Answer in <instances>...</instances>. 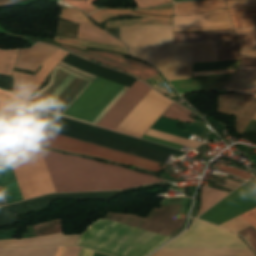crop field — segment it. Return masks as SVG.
Returning <instances> with one entry per match:
<instances>
[{
  "instance_id": "obj_1",
  "label": "crop field",
  "mask_w": 256,
  "mask_h": 256,
  "mask_svg": "<svg viewBox=\"0 0 256 256\" xmlns=\"http://www.w3.org/2000/svg\"><path fill=\"white\" fill-rule=\"evenodd\" d=\"M3 139L23 198L49 192L118 190L162 179L77 156L41 150Z\"/></svg>"
},
{
  "instance_id": "obj_2",
  "label": "crop field",
  "mask_w": 256,
  "mask_h": 256,
  "mask_svg": "<svg viewBox=\"0 0 256 256\" xmlns=\"http://www.w3.org/2000/svg\"><path fill=\"white\" fill-rule=\"evenodd\" d=\"M62 61L90 74L126 86L128 88H130L136 81V79L128 75L105 68L72 54H68ZM63 62H61L60 65L92 79L95 78V76L78 70ZM98 77L92 81V79L80 76L57 65L51 73L50 83L45 88L41 89L32 98H30L27 103L35 109L61 115V113L70 105V103L92 81L63 112V115L92 122L123 88V86L114 84ZM128 88L124 87L92 123H87L95 125L128 90Z\"/></svg>"
},
{
  "instance_id": "obj_3",
  "label": "crop field",
  "mask_w": 256,
  "mask_h": 256,
  "mask_svg": "<svg viewBox=\"0 0 256 256\" xmlns=\"http://www.w3.org/2000/svg\"><path fill=\"white\" fill-rule=\"evenodd\" d=\"M105 29L128 45L130 55L158 67L168 81L191 78L193 44H172V26Z\"/></svg>"
},
{
  "instance_id": "obj_4",
  "label": "crop field",
  "mask_w": 256,
  "mask_h": 256,
  "mask_svg": "<svg viewBox=\"0 0 256 256\" xmlns=\"http://www.w3.org/2000/svg\"><path fill=\"white\" fill-rule=\"evenodd\" d=\"M169 239L171 237L99 219L83 232L76 245L111 256H147Z\"/></svg>"
},
{
  "instance_id": "obj_5",
  "label": "crop field",
  "mask_w": 256,
  "mask_h": 256,
  "mask_svg": "<svg viewBox=\"0 0 256 256\" xmlns=\"http://www.w3.org/2000/svg\"><path fill=\"white\" fill-rule=\"evenodd\" d=\"M150 89L137 80L97 126L115 128ZM171 103L151 89L114 130L141 137Z\"/></svg>"
},
{
  "instance_id": "obj_6",
  "label": "crop field",
  "mask_w": 256,
  "mask_h": 256,
  "mask_svg": "<svg viewBox=\"0 0 256 256\" xmlns=\"http://www.w3.org/2000/svg\"><path fill=\"white\" fill-rule=\"evenodd\" d=\"M25 142L51 147L63 151L89 155L157 172L163 169L158 167L160 164L156 162L124 154L30 126L28 127Z\"/></svg>"
},
{
  "instance_id": "obj_7",
  "label": "crop field",
  "mask_w": 256,
  "mask_h": 256,
  "mask_svg": "<svg viewBox=\"0 0 256 256\" xmlns=\"http://www.w3.org/2000/svg\"><path fill=\"white\" fill-rule=\"evenodd\" d=\"M30 126L146 158L160 163H165L169 157V153L154 150L130 142L122 141L105 135L97 134L80 128L72 127L48 119L40 118L37 116L31 117Z\"/></svg>"
},
{
  "instance_id": "obj_8",
  "label": "crop field",
  "mask_w": 256,
  "mask_h": 256,
  "mask_svg": "<svg viewBox=\"0 0 256 256\" xmlns=\"http://www.w3.org/2000/svg\"><path fill=\"white\" fill-rule=\"evenodd\" d=\"M162 248L248 249L233 233L196 220Z\"/></svg>"
},
{
  "instance_id": "obj_9",
  "label": "crop field",
  "mask_w": 256,
  "mask_h": 256,
  "mask_svg": "<svg viewBox=\"0 0 256 256\" xmlns=\"http://www.w3.org/2000/svg\"><path fill=\"white\" fill-rule=\"evenodd\" d=\"M254 207H256V181L252 179L198 218L220 225Z\"/></svg>"
},
{
  "instance_id": "obj_10",
  "label": "crop field",
  "mask_w": 256,
  "mask_h": 256,
  "mask_svg": "<svg viewBox=\"0 0 256 256\" xmlns=\"http://www.w3.org/2000/svg\"><path fill=\"white\" fill-rule=\"evenodd\" d=\"M31 111L32 108L20 99L2 91L0 96V136L23 140Z\"/></svg>"
},
{
  "instance_id": "obj_11",
  "label": "crop field",
  "mask_w": 256,
  "mask_h": 256,
  "mask_svg": "<svg viewBox=\"0 0 256 256\" xmlns=\"http://www.w3.org/2000/svg\"><path fill=\"white\" fill-rule=\"evenodd\" d=\"M64 48H67L71 51H74L76 53H79L81 55H84L86 57H89L93 60H96L98 62L113 66L115 68L133 73L135 75H137L139 78L141 79H146L148 77H150L151 75L157 73V71L150 67L147 64H142L139 61H135V60H131V59H124L122 55L120 54H116V53H108V52H101V51H88L86 53L63 46ZM147 83H149L150 85H152L153 87L157 88L158 90H160L161 92H163L164 94L170 96V97H174L176 96V94L173 92H169L168 89L163 85L162 82H164V80L162 79V77L157 73L153 76H151L150 78L144 80ZM161 83L162 86L166 89L167 92H165L159 85L158 83ZM167 84V83H166ZM168 85V84H167Z\"/></svg>"
},
{
  "instance_id": "obj_12",
  "label": "crop field",
  "mask_w": 256,
  "mask_h": 256,
  "mask_svg": "<svg viewBox=\"0 0 256 256\" xmlns=\"http://www.w3.org/2000/svg\"><path fill=\"white\" fill-rule=\"evenodd\" d=\"M217 41L218 61L239 59L233 30L207 32H174L173 43Z\"/></svg>"
},
{
  "instance_id": "obj_13",
  "label": "crop field",
  "mask_w": 256,
  "mask_h": 256,
  "mask_svg": "<svg viewBox=\"0 0 256 256\" xmlns=\"http://www.w3.org/2000/svg\"><path fill=\"white\" fill-rule=\"evenodd\" d=\"M217 112L236 115V130L237 133L242 134L256 113V95L243 93L218 95Z\"/></svg>"
},
{
  "instance_id": "obj_14",
  "label": "crop field",
  "mask_w": 256,
  "mask_h": 256,
  "mask_svg": "<svg viewBox=\"0 0 256 256\" xmlns=\"http://www.w3.org/2000/svg\"><path fill=\"white\" fill-rule=\"evenodd\" d=\"M133 11H140L148 14L154 15H172V4L148 9V10H133ZM132 10H121V9H101L91 15L93 20H95L98 24L104 21L109 17H116L122 15H139L144 16L147 18L141 19H132V20H125V21H118V22H107V27H114V26H129V25H152V24H162V25H171L172 17H162V16H150V15H141L134 13Z\"/></svg>"
},
{
  "instance_id": "obj_15",
  "label": "crop field",
  "mask_w": 256,
  "mask_h": 256,
  "mask_svg": "<svg viewBox=\"0 0 256 256\" xmlns=\"http://www.w3.org/2000/svg\"><path fill=\"white\" fill-rule=\"evenodd\" d=\"M174 31L233 29L227 9L190 16H174Z\"/></svg>"
},
{
  "instance_id": "obj_16",
  "label": "crop field",
  "mask_w": 256,
  "mask_h": 256,
  "mask_svg": "<svg viewBox=\"0 0 256 256\" xmlns=\"http://www.w3.org/2000/svg\"><path fill=\"white\" fill-rule=\"evenodd\" d=\"M67 52L58 49L34 76L13 72L14 86L12 93L27 100L29 95L42 83L46 75L62 60Z\"/></svg>"
},
{
  "instance_id": "obj_17",
  "label": "crop field",
  "mask_w": 256,
  "mask_h": 256,
  "mask_svg": "<svg viewBox=\"0 0 256 256\" xmlns=\"http://www.w3.org/2000/svg\"><path fill=\"white\" fill-rule=\"evenodd\" d=\"M0 184L8 204L23 200L1 138Z\"/></svg>"
},
{
  "instance_id": "obj_18",
  "label": "crop field",
  "mask_w": 256,
  "mask_h": 256,
  "mask_svg": "<svg viewBox=\"0 0 256 256\" xmlns=\"http://www.w3.org/2000/svg\"><path fill=\"white\" fill-rule=\"evenodd\" d=\"M78 235L61 236L60 233L40 238L0 241V248L74 245Z\"/></svg>"
},
{
  "instance_id": "obj_19",
  "label": "crop field",
  "mask_w": 256,
  "mask_h": 256,
  "mask_svg": "<svg viewBox=\"0 0 256 256\" xmlns=\"http://www.w3.org/2000/svg\"><path fill=\"white\" fill-rule=\"evenodd\" d=\"M56 50L51 46L41 44H36L29 49L20 50L15 67L35 71Z\"/></svg>"
},
{
  "instance_id": "obj_20",
  "label": "crop field",
  "mask_w": 256,
  "mask_h": 256,
  "mask_svg": "<svg viewBox=\"0 0 256 256\" xmlns=\"http://www.w3.org/2000/svg\"><path fill=\"white\" fill-rule=\"evenodd\" d=\"M151 256H255L251 250L159 249Z\"/></svg>"
},
{
  "instance_id": "obj_21",
  "label": "crop field",
  "mask_w": 256,
  "mask_h": 256,
  "mask_svg": "<svg viewBox=\"0 0 256 256\" xmlns=\"http://www.w3.org/2000/svg\"><path fill=\"white\" fill-rule=\"evenodd\" d=\"M230 77H211L201 80H182L170 83L178 93L183 94L195 90L222 89Z\"/></svg>"
},
{
  "instance_id": "obj_22",
  "label": "crop field",
  "mask_w": 256,
  "mask_h": 256,
  "mask_svg": "<svg viewBox=\"0 0 256 256\" xmlns=\"http://www.w3.org/2000/svg\"><path fill=\"white\" fill-rule=\"evenodd\" d=\"M225 90L254 93L256 90V67H239Z\"/></svg>"
},
{
  "instance_id": "obj_23",
  "label": "crop field",
  "mask_w": 256,
  "mask_h": 256,
  "mask_svg": "<svg viewBox=\"0 0 256 256\" xmlns=\"http://www.w3.org/2000/svg\"><path fill=\"white\" fill-rule=\"evenodd\" d=\"M224 7L223 0H204L174 4V15H189Z\"/></svg>"
},
{
  "instance_id": "obj_24",
  "label": "crop field",
  "mask_w": 256,
  "mask_h": 256,
  "mask_svg": "<svg viewBox=\"0 0 256 256\" xmlns=\"http://www.w3.org/2000/svg\"><path fill=\"white\" fill-rule=\"evenodd\" d=\"M238 63H239V60L223 61V62L193 63L192 71L233 68V67H238ZM234 69L194 72V76L232 73ZM192 75H193V72H192ZM226 75H231V74H226ZM214 76H222V75H214ZM207 77H210V76H207Z\"/></svg>"
},
{
  "instance_id": "obj_25",
  "label": "crop field",
  "mask_w": 256,
  "mask_h": 256,
  "mask_svg": "<svg viewBox=\"0 0 256 256\" xmlns=\"http://www.w3.org/2000/svg\"><path fill=\"white\" fill-rule=\"evenodd\" d=\"M105 31L94 26L80 25L77 38L110 45L123 46L119 41L109 37Z\"/></svg>"
},
{
  "instance_id": "obj_26",
  "label": "crop field",
  "mask_w": 256,
  "mask_h": 256,
  "mask_svg": "<svg viewBox=\"0 0 256 256\" xmlns=\"http://www.w3.org/2000/svg\"><path fill=\"white\" fill-rule=\"evenodd\" d=\"M235 29L256 27V8L229 9Z\"/></svg>"
},
{
  "instance_id": "obj_27",
  "label": "crop field",
  "mask_w": 256,
  "mask_h": 256,
  "mask_svg": "<svg viewBox=\"0 0 256 256\" xmlns=\"http://www.w3.org/2000/svg\"><path fill=\"white\" fill-rule=\"evenodd\" d=\"M241 217L246 220L252 227L256 229V208L241 215ZM240 216L220 225L227 228L233 232H238L248 226H250L246 221H244Z\"/></svg>"
},
{
  "instance_id": "obj_28",
  "label": "crop field",
  "mask_w": 256,
  "mask_h": 256,
  "mask_svg": "<svg viewBox=\"0 0 256 256\" xmlns=\"http://www.w3.org/2000/svg\"><path fill=\"white\" fill-rule=\"evenodd\" d=\"M217 61L216 42L194 44L193 62Z\"/></svg>"
},
{
  "instance_id": "obj_29",
  "label": "crop field",
  "mask_w": 256,
  "mask_h": 256,
  "mask_svg": "<svg viewBox=\"0 0 256 256\" xmlns=\"http://www.w3.org/2000/svg\"><path fill=\"white\" fill-rule=\"evenodd\" d=\"M56 42L80 47V48H96V49H103V50H113V51H118L122 52L128 55L126 51V47H119V46H109V45H103L99 43H94V42H88L84 40H77V39H70V38H64V37H56L55 39Z\"/></svg>"
},
{
  "instance_id": "obj_30",
  "label": "crop field",
  "mask_w": 256,
  "mask_h": 256,
  "mask_svg": "<svg viewBox=\"0 0 256 256\" xmlns=\"http://www.w3.org/2000/svg\"><path fill=\"white\" fill-rule=\"evenodd\" d=\"M228 193H225L223 191L203 186L202 192H201V208L199 215L204 212L206 209L211 207L213 204L218 202L220 199L225 197Z\"/></svg>"
},
{
  "instance_id": "obj_31",
  "label": "crop field",
  "mask_w": 256,
  "mask_h": 256,
  "mask_svg": "<svg viewBox=\"0 0 256 256\" xmlns=\"http://www.w3.org/2000/svg\"><path fill=\"white\" fill-rule=\"evenodd\" d=\"M58 248L0 250V256H55Z\"/></svg>"
},
{
  "instance_id": "obj_32",
  "label": "crop field",
  "mask_w": 256,
  "mask_h": 256,
  "mask_svg": "<svg viewBox=\"0 0 256 256\" xmlns=\"http://www.w3.org/2000/svg\"><path fill=\"white\" fill-rule=\"evenodd\" d=\"M18 51H0V74H12Z\"/></svg>"
},
{
  "instance_id": "obj_33",
  "label": "crop field",
  "mask_w": 256,
  "mask_h": 256,
  "mask_svg": "<svg viewBox=\"0 0 256 256\" xmlns=\"http://www.w3.org/2000/svg\"><path fill=\"white\" fill-rule=\"evenodd\" d=\"M59 18L72 21L75 23L94 25L87 19V17L84 14H82L80 11L73 8L62 7V11L60 13Z\"/></svg>"
},
{
  "instance_id": "obj_34",
  "label": "crop field",
  "mask_w": 256,
  "mask_h": 256,
  "mask_svg": "<svg viewBox=\"0 0 256 256\" xmlns=\"http://www.w3.org/2000/svg\"><path fill=\"white\" fill-rule=\"evenodd\" d=\"M146 135H150V136L157 137V138H160V139L168 140V141L175 142V143H178V144H182V145L192 147V148H194V147H196L200 144V143H196V142H193V141H189V140H186V139H182V138H179V137H175V136L165 134V133H162V132H158V131H155V130H151V129L148 130Z\"/></svg>"
},
{
  "instance_id": "obj_35",
  "label": "crop field",
  "mask_w": 256,
  "mask_h": 256,
  "mask_svg": "<svg viewBox=\"0 0 256 256\" xmlns=\"http://www.w3.org/2000/svg\"><path fill=\"white\" fill-rule=\"evenodd\" d=\"M191 112L184 109L183 107L173 104L164 114L163 116L170 117L176 120L184 121V122H191L192 119L188 118L187 116L190 115Z\"/></svg>"
},
{
  "instance_id": "obj_36",
  "label": "crop field",
  "mask_w": 256,
  "mask_h": 256,
  "mask_svg": "<svg viewBox=\"0 0 256 256\" xmlns=\"http://www.w3.org/2000/svg\"><path fill=\"white\" fill-rule=\"evenodd\" d=\"M81 10L86 12L87 14H90L100 8L92 5L91 3L97 0H87V1H77V0H63Z\"/></svg>"
},
{
  "instance_id": "obj_37",
  "label": "crop field",
  "mask_w": 256,
  "mask_h": 256,
  "mask_svg": "<svg viewBox=\"0 0 256 256\" xmlns=\"http://www.w3.org/2000/svg\"><path fill=\"white\" fill-rule=\"evenodd\" d=\"M237 234L241 235L256 253V232L248 227Z\"/></svg>"
},
{
  "instance_id": "obj_38",
  "label": "crop field",
  "mask_w": 256,
  "mask_h": 256,
  "mask_svg": "<svg viewBox=\"0 0 256 256\" xmlns=\"http://www.w3.org/2000/svg\"><path fill=\"white\" fill-rule=\"evenodd\" d=\"M229 8L244 7L251 8L256 7V0H226Z\"/></svg>"
},
{
  "instance_id": "obj_39",
  "label": "crop field",
  "mask_w": 256,
  "mask_h": 256,
  "mask_svg": "<svg viewBox=\"0 0 256 256\" xmlns=\"http://www.w3.org/2000/svg\"><path fill=\"white\" fill-rule=\"evenodd\" d=\"M236 33L239 42L256 41V29L236 31Z\"/></svg>"
},
{
  "instance_id": "obj_40",
  "label": "crop field",
  "mask_w": 256,
  "mask_h": 256,
  "mask_svg": "<svg viewBox=\"0 0 256 256\" xmlns=\"http://www.w3.org/2000/svg\"><path fill=\"white\" fill-rule=\"evenodd\" d=\"M137 2V8H147L160 4L172 2V0H135Z\"/></svg>"
},
{
  "instance_id": "obj_41",
  "label": "crop field",
  "mask_w": 256,
  "mask_h": 256,
  "mask_svg": "<svg viewBox=\"0 0 256 256\" xmlns=\"http://www.w3.org/2000/svg\"><path fill=\"white\" fill-rule=\"evenodd\" d=\"M219 170L221 171H225V172H228V173H231L235 176H238L244 180H247L249 177H251L252 175L249 174V173H246V172H242V171H239L235 168H231V167H227L223 164H221V166L218 168Z\"/></svg>"
},
{
  "instance_id": "obj_42",
  "label": "crop field",
  "mask_w": 256,
  "mask_h": 256,
  "mask_svg": "<svg viewBox=\"0 0 256 256\" xmlns=\"http://www.w3.org/2000/svg\"><path fill=\"white\" fill-rule=\"evenodd\" d=\"M142 138L150 140V141H154V142H157V143H161V144H164V145H167V146H171V147H174V148H178V149H180L182 147L181 145L174 144V143H171V142H167V141L160 140V139L153 138V137L146 136V135H144Z\"/></svg>"
},
{
  "instance_id": "obj_43",
  "label": "crop field",
  "mask_w": 256,
  "mask_h": 256,
  "mask_svg": "<svg viewBox=\"0 0 256 256\" xmlns=\"http://www.w3.org/2000/svg\"><path fill=\"white\" fill-rule=\"evenodd\" d=\"M241 58L256 57V48L240 49Z\"/></svg>"
},
{
  "instance_id": "obj_44",
  "label": "crop field",
  "mask_w": 256,
  "mask_h": 256,
  "mask_svg": "<svg viewBox=\"0 0 256 256\" xmlns=\"http://www.w3.org/2000/svg\"><path fill=\"white\" fill-rule=\"evenodd\" d=\"M81 248L67 247L63 256H78Z\"/></svg>"
},
{
  "instance_id": "obj_45",
  "label": "crop field",
  "mask_w": 256,
  "mask_h": 256,
  "mask_svg": "<svg viewBox=\"0 0 256 256\" xmlns=\"http://www.w3.org/2000/svg\"><path fill=\"white\" fill-rule=\"evenodd\" d=\"M240 66H256V58L241 59Z\"/></svg>"
},
{
  "instance_id": "obj_46",
  "label": "crop field",
  "mask_w": 256,
  "mask_h": 256,
  "mask_svg": "<svg viewBox=\"0 0 256 256\" xmlns=\"http://www.w3.org/2000/svg\"><path fill=\"white\" fill-rule=\"evenodd\" d=\"M240 48H247V47H256V42H245V43H239Z\"/></svg>"
},
{
  "instance_id": "obj_47",
  "label": "crop field",
  "mask_w": 256,
  "mask_h": 256,
  "mask_svg": "<svg viewBox=\"0 0 256 256\" xmlns=\"http://www.w3.org/2000/svg\"><path fill=\"white\" fill-rule=\"evenodd\" d=\"M93 251L90 250H86V249H81L79 256H92L93 255Z\"/></svg>"
},
{
  "instance_id": "obj_48",
  "label": "crop field",
  "mask_w": 256,
  "mask_h": 256,
  "mask_svg": "<svg viewBox=\"0 0 256 256\" xmlns=\"http://www.w3.org/2000/svg\"><path fill=\"white\" fill-rule=\"evenodd\" d=\"M22 0H0V6L6 5V4H15Z\"/></svg>"
},
{
  "instance_id": "obj_49",
  "label": "crop field",
  "mask_w": 256,
  "mask_h": 256,
  "mask_svg": "<svg viewBox=\"0 0 256 256\" xmlns=\"http://www.w3.org/2000/svg\"><path fill=\"white\" fill-rule=\"evenodd\" d=\"M66 247L59 248L56 256H62Z\"/></svg>"
},
{
  "instance_id": "obj_50",
  "label": "crop field",
  "mask_w": 256,
  "mask_h": 256,
  "mask_svg": "<svg viewBox=\"0 0 256 256\" xmlns=\"http://www.w3.org/2000/svg\"><path fill=\"white\" fill-rule=\"evenodd\" d=\"M1 189V188H0ZM2 191V190H1ZM3 194V193H2ZM2 194H1V192H0V204H4L5 202H4V200H3V197H4V195H3V197H2ZM5 199V198H4ZM7 204V203H6ZM5 205V204H4ZM1 206V205H0Z\"/></svg>"
},
{
  "instance_id": "obj_51",
  "label": "crop field",
  "mask_w": 256,
  "mask_h": 256,
  "mask_svg": "<svg viewBox=\"0 0 256 256\" xmlns=\"http://www.w3.org/2000/svg\"><path fill=\"white\" fill-rule=\"evenodd\" d=\"M175 2H179V1H185V0H174Z\"/></svg>"
},
{
  "instance_id": "obj_52",
  "label": "crop field",
  "mask_w": 256,
  "mask_h": 256,
  "mask_svg": "<svg viewBox=\"0 0 256 256\" xmlns=\"http://www.w3.org/2000/svg\"><path fill=\"white\" fill-rule=\"evenodd\" d=\"M254 120H256V115L254 116V118H253Z\"/></svg>"
},
{
  "instance_id": "obj_53",
  "label": "crop field",
  "mask_w": 256,
  "mask_h": 256,
  "mask_svg": "<svg viewBox=\"0 0 256 256\" xmlns=\"http://www.w3.org/2000/svg\"><path fill=\"white\" fill-rule=\"evenodd\" d=\"M255 93H256V91H255Z\"/></svg>"
}]
</instances>
